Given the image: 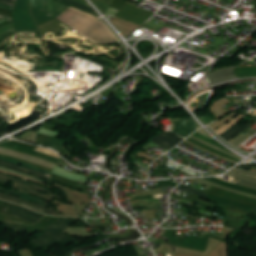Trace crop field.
<instances>
[{
	"label": "crop field",
	"instance_id": "8a807250",
	"mask_svg": "<svg viewBox=\"0 0 256 256\" xmlns=\"http://www.w3.org/2000/svg\"><path fill=\"white\" fill-rule=\"evenodd\" d=\"M57 19L96 43L118 41L109 28L93 15L69 7Z\"/></svg>",
	"mask_w": 256,
	"mask_h": 256
},
{
	"label": "crop field",
	"instance_id": "ac0d7876",
	"mask_svg": "<svg viewBox=\"0 0 256 256\" xmlns=\"http://www.w3.org/2000/svg\"><path fill=\"white\" fill-rule=\"evenodd\" d=\"M8 181L12 182V186H13L14 189L32 194L34 196L46 199V200L51 201V202H53L52 200L55 197L60 198V197L54 195L52 190H50V189H48L44 186L38 185L36 183L29 182V181H26V180L19 179L17 177H13V176H9V175H5V174L0 173V184L3 185V186H6ZM30 188L39 190V191L44 192L48 195H46L44 193H41L39 191L30 189ZM14 189L9 191V190H6V189L0 187V191H2V192H5V193H8V194L20 197V198L28 199V200H31V201L36 202L38 204H41V205L52 208L47 202H45V201H43L39 198H36L34 196H31L29 194L14 190Z\"/></svg>",
	"mask_w": 256,
	"mask_h": 256
},
{
	"label": "crop field",
	"instance_id": "34b2d1b8",
	"mask_svg": "<svg viewBox=\"0 0 256 256\" xmlns=\"http://www.w3.org/2000/svg\"><path fill=\"white\" fill-rule=\"evenodd\" d=\"M75 220L76 218L67 217L65 220H59L49 225L39 237L30 241V243L37 249L43 248L44 252L50 250V247L55 243L61 246L69 245L75 239L63 231Z\"/></svg>",
	"mask_w": 256,
	"mask_h": 256
},
{
	"label": "crop field",
	"instance_id": "412701ff",
	"mask_svg": "<svg viewBox=\"0 0 256 256\" xmlns=\"http://www.w3.org/2000/svg\"><path fill=\"white\" fill-rule=\"evenodd\" d=\"M30 13L36 24H41L57 18L68 6L53 2V0H30Z\"/></svg>",
	"mask_w": 256,
	"mask_h": 256
},
{
	"label": "crop field",
	"instance_id": "f4fd0767",
	"mask_svg": "<svg viewBox=\"0 0 256 256\" xmlns=\"http://www.w3.org/2000/svg\"><path fill=\"white\" fill-rule=\"evenodd\" d=\"M13 16V32L38 31L29 15V0H16Z\"/></svg>",
	"mask_w": 256,
	"mask_h": 256
},
{
	"label": "crop field",
	"instance_id": "dd49c442",
	"mask_svg": "<svg viewBox=\"0 0 256 256\" xmlns=\"http://www.w3.org/2000/svg\"><path fill=\"white\" fill-rule=\"evenodd\" d=\"M168 119L175 126L172 131L184 138L188 137L191 133L201 128L191 118H168Z\"/></svg>",
	"mask_w": 256,
	"mask_h": 256
},
{
	"label": "crop field",
	"instance_id": "e52e79f7",
	"mask_svg": "<svg viewBox=\"0 0 256 256\" xmlns=\"http://www.w3.org/2000/svg\"><path fill=\"white\" fill-rule=\"evenodd\" d=\"M0 199L24 205V206H26V207H28L30 209L42 212L44 214L57 215V216H65L64 214H62V213H60L58 211H55V210H52V209H48V208L39 206V205H37V204H35L33 202L26 201V200L19 199V198H15V197H12V196H9V195H5V194H2V193H0Z\"/></svg>",
	"mask_w": 256,
	"mask_h": 256
},
{
	"label": "crop field",
	"instance_id": "d8731c3e",
	"mask_svg": "<svg viewBox=\"0 0 256 256\" xmlns=\"http://www.w3.org/2000/svg\"><path fill=\"white\" fill-rule=\"evenodd\" d=\"M5 213L16 215L18 217L29 220L33 223H36L39 219H41L44 216V215L32 212L30 210H27L23 207L14 205L12 203H10V205L6 209Z\"/></svg>",
	"mask_w": 256,
	"mask_h": 256
},
{
	"label": "crop field",
	"instance_id": "5a996713",
	"mask_svg": "<svg viewBox=\"0 0 256 256\" xmlns=\"http://www.w3.org/2000/svg\"><path fill=\"white\" fill-rule=\"evenodd\" d=\"M183 139L171 134L170 132L159 134L155 137L151 142L165 148H174L177 144H179Z\"/></svg>",
	"mask_w": 256,
	"mask_h": 256
},
{
	"label": "crop field",
	"instance_id": "3316defc",
	"mask_svg": "<svg viewBox=\"0 0 256 256\" xmlns=\"http://www.w3.org/2000/svg\"><path fill=\"white\" fill-rule=\"evenodd\" d=\"M0 165L4 166V167L11 168V169H14V170H17V171H21V172L32 174L34 176H37L39 178H42V179L47 180V181L50 182L49 178L41 176L40 172H38V171L29 169V168H25V167H22V166L14 165V164L8 163V162L3 161V160H0Z\"/></svg>",
	"mask_w": 256,
	"mask_h": 256
},
{
	"label": "crop field",
	"instance_id": "28ad6ade",
	"mask_svg": "<svg viewBox=\"0 0 256 256\" xmlns=\"http://www.w3.org/2000/svg\"><path fill=\"white\" fill-rule=\"evenodd\" d=\"M253 120V118H251V120L249 122H251ZM246 123L244 126H242L241 128H239L240 126H235L233 128H231L230 130H228L226 133H224L223 135H221L220 137H222L224 140H226L227 142L230 141L231 139H233L234 137H236L238 134H240L241 132H243L244 130H246L248 127H250L251 125H248L249 124ZM256 122V121H255ZM254 122V123H255ZM253 123V124H254ZM252 124V125H253ZM239 128V129H238ZM238 129V130H236ZM236 130V131H234ZM234 131V132H233Z\"/></svg>",
	"mask_w": 256,
	"mask_h": 256
},
{
	"label": "crop field",
	"instance_id": "d1516ede",
	"mask_svg": "<svg viewBox=\"0 0 256 256\" xmlns=\"http://www.w3.org/2000/svg\"><path fill=\"white\" fill-rule=\"evenodd\" d=\"M243 118H244V116H241V115L233 118L232 120H230L229 122H227L226 124H224L223 126L218 128L217 130H215V133H217L219 135L222 134L223 132H225L227 129H229L230 127H232L236 123H238Z\"/></svg>",
	"mask_w": 256,
	"mask_h": 256
},
{
	"label": "crop field",
	"instance_id": "22f410ed",
	"mask_svg": "<svg viewBox=\"0 0 256 256\" xmlns=\"http://www.w3.org/2000/svg\"><path fill=\"white\" fill-rule=\"evenodd\" d=\"M178 189L207 198V193L201 192L199 190H196L194 188H191V187H188V186H185V185H182Z\"/></svg>",
	"mask_w": 256,
	"mask_h": 256
},
{
	"label": "crop field",
	"instance_id": "cbeb9de0",
	"mask_svg": "<svg viewBox=\"0 0 256 256\" xmlns=\"http://www.w3.org/2000/svg\"><path fill=\"white\" fill-rule=\"evenodd\" d=\"M192 135H194V136H196V137H198V138H200V139H202V140H205V141H207V142H209V143H212V144H214V145H216V146H218V147H220V148H222V149H224V150H226V151H228V152H230V153H232L231 151H229V150H227L225 147H223L221 144H219L218 142H216V141H214V140H212V139H210V138H208V137H206V136H203V135H201V134H199V133H194V134H192Z\"/></svg>",
	"mask_w": 256,
	"mask_h": 256
},
{
	"label": "crop field",
	"instance_id": "5142ce71",
	"mask_svg": "<svg viewBox=\"0 0 256 256\" xmlns=\"http://www.w3.org/2000/svg\"><path fill=\"white\" fill-rule=\"evenodd\" d=\"M4 227L10 228V229H14V230H17V231H21V232H24V231L27 230V228H25L23 226L11 224V223H5Z\"/></svg>",
	"mask_w": 256,
	"mask_h": 256
},
{
	"label": "crop field",
	"instance_id": "d9b57169",
	"mask_svg": "<svg viewBox=\"0 0 256 256\" xmlns=\"http://www.w3.org/2000/svg\"><path fill=\"white\" fill-rule=\"evenodd\" d=\"M0 172H2V173H6V174H10V175H14V176H17V177H19V178L26 179V180H29V181H33V182H36V183L42 184V185H44V186H47V187L53 188V187H51V186H49V185H47V184H45V183H43V182H39V181H36V180H32V179H29V178L24 177V176H20V175H17V174H14V173H10V172H7V171H3V170H0Z\"/></svg>",
	"mask_w": 256,
	"mask_h": 256
},
{
	"label": "crop field",
	"instance_id": "733c2abd",
	"mask_svg": "<svg viewBox=\"0 0 256 256\" xmlns=\"http://www.w3.org/2000/svg\"><path fill=\"white\" fill-rule=\"evenodd\" d=\"M0 159H4V160H7V161L15 162V163H18V164H21V165L27 166V167H29V168H33V169H35V170L42 171V172L47 173V174H49V175L51 174L50 172H47V171H44V170H41V169H38V168L32 167V166L27 165V164L22 163V162H18V161H14V160L6 159V158H4V157H0Z\"/></svg>",
	"mask_w": 256,
	"mask_h": 256
},
{
	"label": "crop field",
	"instance_id": "4a817a6b",
	"mask_svg": "<svg viewBox=\"0 0 256 256\" xmlns=\"http://www.w3.org/2000/svg\"><path fill=\"white\" fill-rule=\"evenodd\" d=\"M0 169H4V170L10 171V172H14V173H17V174H20V175H24V176H27V177H29V178L37 179V180H40V181H43V182H46V183L50 184L49 182L44 181V180H42V179H39V178H37V177L29 176V175H26V174H23V173H20V172H17V171H13V170H10V169L1 167V166H0ZM50 185H51V184H50Z\"/></svg>",
	"mask_w": 256,
	"mask_h": 256
},
{
	"label": "crop field",
	"instance_id": "bc2a9ffb",
	"mask_svg": "<svg viewBox=\"0 0 256 256\" xmlns=\"http://www.w3.org/2000/svg\"><path fill=\"white\" fill-rule=\"evenodd\" d=\"M200 119H201V121H202L205 125H207V124H209V123H211V122L213 121V118H212L209 114L200 117Z\"/></svg>",
	"mask_w": 256,
	"mask_h": 256
},
{
	"label": "crop field",
	"instance_id": "214f88e0",
	"mask_svg": "<svg viewBox=\"0 0 256 256\" xmlns=\"http://www.w3.org/2000/svg\"><path fill=\"white\" fill-rule=\"evenodd\" d=\"M92 1V0H91ZM103 13H106L107 10L109 9V7L103 5V4H100V3H97L95 1H92Z\"/></svg>",
	"mask_w": 256,
	"mask_h": 256
},
{
	"label": "crop field",
	"instance_id": "92a150f3",
	"mask_svg": "<svg viewBox=\"0 0 256 256\" xmlns=\"http://www.w3.org/2000/svg\"><path fill=\"white\" fill-rule=\"evenodd\" d=\"M10 29H12V23L0 29V36L5 32L9 31Z\"/></svg>",
	"mask_w": 256,
	"mask_h": 256
},
{
	"label": "crop field",
	"instance_id": "dafd665d",
	"mask_svg": "<svg viewBox=\"0 0 256 256\" xmlns=\"http://www.w3.org/2000/svg\"><path fill=\"white\" fill-rule=\"evenodd\" d=\"M64 1H66V2H68V3H70V4H73V5H76V6H78V7H81V8H84V9H88V10L93 11L92 9H90V8H88V7H86V6L81 5V4H78V3H75V2H73V1H71V0H64Z\"/></svg>",
	"mask_w": 256,
	"mask_h": 256
},
{
	"label": "crop field",
	"instance_id": "00972430",
	"mask_svg": "<svg viewBox=\"0 0 256 256\" xmlns=\"http://www.w3.org/2000/svg\"><path fill=\"white\" fill-rule=\"evenodd\" d=\"M55 1H57V2H61V3H64V4H67V3L62 2V1H59V0H55ZM67 5H69V6H73V5H70V4H67ZM73 7L77 8V9H80V10H83V11H85V12H87V13H90V14H93V15H97V14H96V13H94V12L87 11V10H84V9H81V8H78V7H76V6H73ZM97 16H98V15H97Z\"/></svg>",
	"mask_w": 256,
	"mask_h": 256
},
{
	"label": "crop field",
	"instance_id": "a9b5d70f",
	"mask_svg": "<svg viewBox=\"0 0 256 256\" xmlns=\"http://www.w3.org/2000/svg\"><path fill=\"white\" fill-rule=\"evenodd\" d=\"M44 145L45 146H49V147H52V148H54V149H56V150H60V148H61V146H58V145H54V144H51V143H47V142H45L44 143Z\"/></svg>",
	"mask_w": 256,
	"mask_h": 256
},
{
	"label": "crop field",
	"instance_id": "4177f3b9",
	"mask_svg": "<svg viewBox=\"0 0 256 256\" xmlns=\"http://www.w3.org/2000/svg\"><path fill=\"white\" fill-rule=\"evenodd\" d=\"M1 20H7L12 22V18L0 15Z\"/></svg>",
	"mask_w": 256,
	"mask_h": 256
},
{
	"label": "crop field",
	"instance_id": "730fd06b",
	"mask_svg": "<svg viewBox=\"0 0 256 256\" xmlns=\"http://www.w3.org/2000/svg\"><path fill=\"white\" fill-rule=\"evenodd\" d=\"M0 4L11 6V7H13V5H14L12 3H7V2H3V1H0Z\"/></svg>",
	"mask_w": 256,
	"mask_h": 256
},
{
	"label": "crop field",
	"instance_id": "eef30255",
	"mask_svg": "<svg viewBox=\"0 0 256 256\" xmlns=\"http://www.w3.org/2000/svg\"><path fill=\"white\" fill-rule=\"evenodd\" d=\"M73 1L89 6L84 0H73Z\"/></svg>",
	"mask_w": 256,
	"mask_h": 256
},
{
	"label": "crop field",
	"instance_id": "ae1a2a85",
	"mask_svg": "<svg viewBox=\"0 0 256 256\" xmlns=\"http://www.w3.org/2000/svg\"><path fill=\"white\" fill-rule=\"evenodd\" d=\"M0 7H1V8H6V9H10V10L13 9V8H11V7H7V6H3V5H0Z\"/></svg>",
	"mask_w": 256,
	"mask_h": 256
},
{
	"label": "crop field",
	"instance_id": "d3111659",
	"mask_svg": "<svg viewBox=\"0 0 256 256\" xmlns=\"http://www.w3.org/2000/svg\"><path fill=\"white\" fill-rule=\"evenodd\" d=\"M10 32H12V30H10L9 32H7V33H5L4 35H2V36L0 37V39H1L2 37H4L5 35L9 34Z\"/></svg>",
	"mask_w": 256,
	"mask_h": 256
},
{
	"label": "crop field",
	"instance_id": "750c4746",
	"mask_svg": "<svg viewBox=\"0 0 256 256\" xmlns=\"http://www.w3.org/2000/svg\"><path fill=\"white\" fill-rule=\"evenodd\" d=\"M3 1H8V2H12V3H14L15 1H13V0H3Z\"/></svg>",
	"mask_w": 256,
	"mask_h": 256
},
{
	"label": "crop field",
	"instance_id": "bd1437ed",
	"mask_svg": "<svg viewBox=\"0 0 256 256\" xmlns=\"http://www.w3.org/2000/svg\"><path fill=\"white\" fill-rule=\"evenodd\" d=\"M42 175L50 178V176H49V175H46V174H43V173H42Z\"/></svg>",
	"mask_w": 256,
	"mask_h": 256
}]
</instances>
